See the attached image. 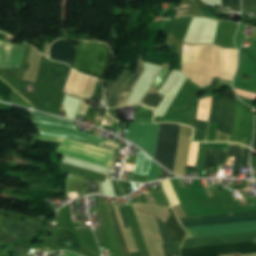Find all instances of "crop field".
I'll list each match as a JSON object with an SVG mask.
<instances>
[{"instance_id":"obj_1","label":"crop field","mask_w":256,"mask_h":256,"mask_svg":"<svg viewBox=\"0 0 256 256\" xmlns=\"http://www.w3.org/2000/svg\"><path fill=\"white\" fill-rule=\"evenodd\" d=\"M234 68L235 53L233 50L215 46H189L185 44L183 46L182 72L188 79L201 88L209 86L215 76L230 80L234 72ZM217 77H215L216 80L232 83L231 81Z\"/></svg>"},{"instance_id":"obj_2","label":"crop field","mask_w":256,"mask_h":256,"mask_svg":"<svg viewBox=\"0 0 256 256\" xmlns=\"http://www.w3.org/2000/svg\"><path fill=\"white\" fill-rule=\"evenodd\" d=\"M85 45L86 42L80 41L75 69L101 80L105 79L113 62L109 47L100 43L88 42L87 50H85Z\"/></svg>"},{"instance_id":"obj_3","label":"crop field","mask_w":256,"mask_h":256,"mask_svg":"<svg viewBox=\"0 0 256 256\" xmlns=\"http://www.w3.org/2000/svg\"><path fill=\"white\" fill-rule=\"evenodd\" d=\"M32 115H34L33 120L35 121L62 124L68 127L75 128L73 122L71 121L51 117V116L44 115L34 111L32 112ZM35 124L40 128L41 134L60 136V137L76 140L79 142L87 143L90 145H94V146H98V147H102V148L114 151V149L101 146L105 141L104 139L86 135L78 130H75L76 128L72 129V128L61 127V126H53V125H45V124H37V123Z\"/></svg>"},{"instance_id":"obj_4","label":"crop field","mask_w":256,"mask_h":256,"mask_svg":"<svg viewBox=\"0 0 256 256\" xmlns=\"http://www.w3.org/2000/svg\"><path fill=\"white\" fill-rule=\"evenodd\" d=\"M39 140H46V141H55L59 143H63L59 149V154L71 156L74 158L90 161L93 163L111 166L113 152L105 151L102 149L94 148L91 146H87L84 144L76 143L73 141L54 138V137H47L39 135Z\"/></svg>"},{"instance_id":"obj_5","label":"crop field","mask_w":256,"mask_h":256,"mask_svg":"<svg viewBox=\"0 0 256 256\" xmlns=\"http://www.w3.org/2000/svg\"><path fill=\"white\" fill-rule=\"evenodd\" d=\"M180 125L164 123L160 126L155 160L171 172L174 170Z\"/></svg>"},{"instance_id":"obj_6","label":"crop field","mask_w":256,"mask_h":256,"mask_svg":"<svg viewBox=\"0 0 256 256\" xmlns=\"http://www.w3.org/2000/svg\"><path fill=\"white\" fill-rule=\"evenodd\" d=\"M142 64L143 55L139 54V66L136 75L133 74L132 77L126 83L131 73L124 71L123 74L121 73L122 75L120 76L117 82H109L105 90L108 107H118L126 104L130 92L141 72Z\"/></svg>"},{"instance_id":"obj_7","label":"crop field","mask_w":256,"mask_h":256,"mask_svg":"<svg viewBox=\"0 0 256 256\" xmlns=\"http://www.w3.org/2000/svg\"><path fill=\"white\" fill-rule=\"evenodd\" d=\"M160 124H131L129 125L127 140L141 146L154 158Z\"/></svg>"},{"instance_id":"obj_8","label":"crop field","mask_w":256,"mask_h":256,"mask_svg":"<svg viewBox=\"0 0 256 256\" xmlns=\"http://www.w3.org/2000/svg\"><path fill=\"white\" fill-rule=\"evenodd\" d=\"M239 252L256 253L253 241L181 249V256H217L216 254Z\"/></svg>"},{"instance_id":"obj_9","label":"crop field","mask_w":256,"mask_h":256,"mask_svg":"<svg viewBox=\"0 0 256 256\" xmlns=\"http://www.w3.org/2000/svg\"><path fill=\"white\" fill-rule=\"evenodd\" d=\"M254 113L237 102L231 141L250 143Z\"/></svg>"},{"instance_id":"obj_10","label":"crop field","mask_w":256,"mask_h":256,"mask_svg":"<svg viewBox=\"0 0 256 256\" xmlns=\"http://www.w3.org/2000/svg\"><path fill=\"white\" fill-rule=\"evenodd\" d=\"M188 237H201L256 231V221L186 229Z\"/></svg>"},{"instance_id":"obj_11","label":"crop field","mask_w":256,"mask_h":256,"mask_svg":"<svg viewBox=\"0 0 256 256\" xmlns=\"http://www.w3.org/2000/svg\"><path fill=\"white\" fill-rule=\"evenodd\" d=\"M26 46L0 41V68L20 67Z\"/></svg>"},{"instance_id":"obj_12","label":"crop field","mask_w":256,"mask_h":256,"mask_svg":"<svg viewBox=\"0 0 256 256\" xmlns=\"http://www.w3.org/2000/svg\"><path fill=\"white\" fill-rule=\"evenodd\" d=\"M253 239H256V232L245 233V234H236V235L217 236V237H208V238H199V239H190V240H185V242L181 248L212 245V244L231 243V242H240V241H249V240H253Z\"/></svg>"},{"instance_id":"obj_13","label":"crop field","mask_w":256,"mask_h":256,"mask_svg":"<svg viewBox=\"0 0 256 256\" xmlns=\"http://www.w3.org/2000/svg\"><path fill=\"white\" fill-rule=\"evenodd\" d=\"M77 49L66 40H58L51 46L50 57L74 66Z\"/></svg>"},{"instance_id":"obj_14","label":"crop field","mask_w":256,"mask_h":256,"mask_svg":"<svg viewBox=\"0 0 256 256\" xmlns=\"http://www.w3.org/2000/svg\"><path fill=\"white\" fill-rule=\"evenodd\" d=\"M236 101L222 98L218 130L231 135Z\"/></svg>"},{"instance_id":"obj_15","label":"crop field","mask_w":256,"mask_h":256,"mask_svg":"<svg viewBox=\"0 0 256 256\" xmlns=\"http://www.w3.org/2000/svg\"><path fill=\"white\" fill-rule=\"evenodd\" d=\"M40 227H41V224L27 220L23 225L16 223V222L8 221L0 229L6 231L8 233L14 234L16 236H19V237L24 236L26 238V237L38 232Z\"/></svg>"},{"instance_id":"obj_16","label":"crop field","mask_w":256,"mask_h":256,"mask_svg":"<svg viewBox=\"0 0 256 256\" xmlns=\"http://www.w3.org/2000/svg\"><path fill=\"white\" fill-rule=\"evenodd\" d=\"M253 220H256V215L234 217V218H224V219H214V220H205V221H195V222H185V223H182V225L184 226V228H189V227L235 223V222H244V221H253Z\"/></svg>"},{"instance_id":"obj_17","label":"crop field","mask_w":256,"mask_h":256,"mask_svg":"<svg viewBox=\"0 0 256 256\" xmlns=\"http://www.w3.org/2000/svg\"><path fill=\"white\" fill-rule=\"evenodd\" d=\"M76 72L77 71L72 70L71 75L68 80V83H67L64 91H68V92L70 91V88H71V85L74 80ZM89 78H90L89 76L77 73L70 93L82 96L84 93V90L86 88V85L88 83Z\"/></svg>"},{"instance_id":"obj_18","label":"crop field","mask_w":256,"mask_h":256,"mask_svg":"<svg viewBox=\"0 0 256 256\" xmlns=\"http://www.w3.org/2000/svg\"><path fill=\"white\" fill-rule=\"evenodd\" d=\"M228 150L207 148L204 169H209L210 165L225 166Z\"/></svg>"},{"instance_id":"obj_19","label":"crop field","mask_w":256,"mask_h":256,"mask_svg":"<svg viewBox=\"0 0 256 256\" xmlns=\"http://www.w3.org/2000/svg\"><path fill=\"white\" fill-rule=\"evenodd\" d=\"M141 152H139L133 173L148 175L152 160Z\"/></svg>"},{"instance_id":"obj_20","label":"crop field","mask_w":256,"mask_h":256,"mask_svg":"<svg viewBox=\"0 0 256 256\" xmlns=\"http://www.w3.org/2000/svg\"><path fill=\"white\" fill-rule=\"evenodd\" d=\"M156 221H157V224H158V227H159L162 239H163L164 245H162V246H163L165 255L166 256H174L172 244H171L166 226L161 221H159L157 218H156Z\"/></svg>"},{"instance_id":"obj_21","label":"crop field","mask_w":256,"mask_h":256,"mask_svg":"<svg viewBox=\"0 0 256 256\" xmlns=\"http://www.w3.org/2000/svg\"><path fill=\"white\" fill-rule=\"evenodd\" d=\"M243 148L244 146L241 144L231 143L230 145V151L228 156L235 157L233 173H239Z\"/></svg>"},{"instance_id":"obj_22","label":"crop field","mask_w":256,"mask_h":256,"mask_svg":"<svg viewBox=\"0 0 256 256\" xmlns=\"http://www.w3.org/2000/svg\"><path fill=\"white\" fill-rule=\"evenodd\" d=\"M163 98H164V95L149 91L148 94L140 103V105L156 110V108L158 107V105L160 104Z\"/></svg>"},{"instance_id":"obj_23","label":"crop field","mask_w":256,"mask_h":256,"mask_svg":"<svg viewBox=\"0 0 256 256\" xmlns=\"http://www.w3.org/2000/svg\"><path fill=\"white\" fill-rule=\"evenodd\" d=\"M220 101H221V98L213 97L210 119H209V122H210L209 130L216 131L219 108H220Z\"/></svg>"},{"instance_id":"obj_24","label":"crop field","mask_w":256,"mask_h":256,"mask_svg":"<svg viewBox=\"0 0 256 256\" xmlns=\"http://www.w3.org/2000/svg\"><path fill=\"white\" fill-rule=\"evenodd\" d=\"M109 211H110V215H111V219H112V222H113L115 233H116V235H117V237L119 239V242H120V244H121V246L123 248L124 254H125V256H131L129 254V252H128V249H127V246H126V243H125L122 231L120 229V226H119V223H118L115 211L114 210H109Z\"/></svg>"},{"instance_id":"obj_25","label":"crop field","mask_w":256,"mask_h":256,"mask_svg":"<svg viewBox=\"0 0 256 256\" xmlns=\"http://www.w3.org/2000/svg\"><path fill=\"white\" fill-rule=\"evenodd\" d=\"M253 214H256V211H255V212H248V213H240V214H229V215H217V216L184 218V219H179V220H180V222H185V221L205 220V219L224 218V217H234V216L253 215Z\"/></svg>"},{"instance_id":"obj_26","label":"crop field","mask_w":256,"mask_h":256,"mask_svg":"<svg viewBox=\"0 0 256 256\" xmlns=\"http://www.w3.org/2000/svg\"><path fill=\"white\" fill-rule=\"evenodd\" d=\"M60 169L66 171V172L81 175V176L84 175V171H85L84 169H80V168L73 167V166H70L67 164H63V163H62Z\"/></svg>"},{"instance_id":"obj_27","label":"crop field","mask_w":256,"mask_h":256,"mask_svg":"<svg viewBox=\"0 0 256 256\" xmlns=\"http://www.w3.org/2000/svg\"><path fill=\"white\" fill-rule=\"evenodd\" d=\"M243 10L256 12V0H242Z\"/></svg>"},{"instance_id":"obj_28","label":"crop field","mask_w":256,"mask_h":256,"mask_svg":"<svg viewBox=\"0 0 256 256\" xmlns=\"http://www.w3.org/2000/svg\"><path fill=\"white\" fill-rule=\"evenodd\" d=\"M223 5L231 7V10L240 11V0H223Z\"/></svg>"},{"instance_id":"obj_29","label":"crop field","mask_w":256,"mask_h":256,"mask_svg":"<svg viewBox=\"0 0 256 256\" xmlns=\"http://www.w3.org/2000/svg\"><path fill=\"white\" fill-rule=\"evenodd\" d=\"M158 168H159V165H157L155 162H152L148 182L156 180Z\"/></svg>"},{"instance_id":"obj_30","label":"crop field","mask_w":256,"mask_h":256,"mask_svg":"<svg viewBox=\"0 0 256 256\" xmlns=\"http://www.w3.org/2000/svg\"><path fill=\"white\" fill-rule=\"evenodd\" d=\"M249 153H250V149L247 148V147H245V148H244V153H243V159H242V164H241V166L250 167Z\"/></svg>"},{"instance_id":"obj_31","label":"crop field","mask_w":256,"mask_h":256,"mask_svg":"<svg viewBox=\"0 0 256 256\" xmlns=\"http://www.w3.org/2000/svg\"><path fill=\"white\" fill-rule=\"evenodd\" d=\"M29 251V249L16 246L12 256H27Z\"/></svg>"},{"instance_id":"obj_32","label":"crop field","mask_w":256,"mask_h":256,"mask_svg":"<svg viewBox=\"0 0 256 256\" xmlns=\"http://www.w3.org/2000/svg\"><path fill=\"white\" fill-rule=\"evenodd\" d=\"M18 239H19V238L14 237V236H12V235H10V234H5V235L3 236V238H2L0 241L12 243V242H14V241H16V240H18Z\"/></svg>"},{"instance_id":"obj_33","label":"crop field","mask_w":256,"mask_h":256,"mask_svg":"<svg viewBox=\"0 0 256 256\" xmlns=\"http://www.w3.org/2000/svg\"><path fill=\"white\" fill-rule=\"evenodd\" d=\"M236 91H237L238 95H240V96H244V97H248V98L256 100V94H254V93L245 92V91H241V90H237V89H236Z\"/></svg>"},{"instance_id":"obj_34","label":"crop field","mask_w":256,"mask_h":256,"mask_svg":"<svg viewBox=\"0 0 256 256\" xmlns=\"http://www.w3.org/2000/svg\"><path fill=\"white\" fill-rule=\"evenodd\" d=\"M119 207H120V210H121V213H122V217H123V220H124L125 228H126V229L131 228L130 225H129V222H128V220H127V217H126V214H125V212H124L123 207H122V206H119Z\"/></svg>"},{"instance_id":"obj_35","label":"crop field","mask_w":256,"mask_h":256,"mask_svg":"<svg viewBox=\"0 0 256 256\" xmlns=\"http://www.w3.org/2000/svg\"><path fill=\"white\" fill-rule=\"evenodd\" d=\"M113 185H114V190H115L116 196H117V197H120L119 191H118V187H117V184H116L115 181H113Z\"/></svg>"},{"instance_id":"obj_36","label":"crop field","mask_w":256,"mask_h":256,"mask_svg":"<svg viewBox=\"0 0 256 256\" xmlns=\"http://www.w3.org/2000/svg\"><path fill=\"white\" fill-rule=\"evenodd\" d=\"M117 183H118V187H119V190H120L121 195H122V196H125L124 191H123V188H122V185H121V182H120V181H117Z\"/></svg>"},{"instance_id":"obj_37","label":"crop field","mask_w":256,"mask_h":256,"mask_svg":"<svg viewBox=\"0 0 256 256\" xmlns=\"http://www.w3.org/2000/svg\"><path fill=\"white\" fill-rule=\"evenodd\" d=\"M253 149L256 150V130H255L254 147H253Z\"/></svg>"},{"instance_id":"obj_38","label":"crop field","mask_w":256,"mask_h":256,"mask_svg":"<svg viewBox=\"0 0 256 256\" xmlns=\"http://www.w3.org/2000/svg\"><path fill=\"white\" fill-rule=\"evenodd\" d=\"M66 256H73V255H68V254H66Z\"/></svg>"}]
</instances>
